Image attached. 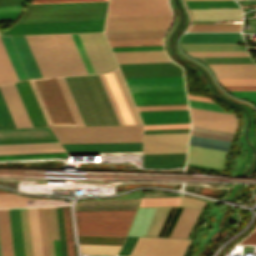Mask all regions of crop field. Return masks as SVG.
I'll use <instances>...</instances> for the list:
<instances>
[{
	"label": "crop field",
	"instance_id": "54",
	"mask_svg": "<svg viewBox=\"0 0 256 256\" xmlns=\"http://www.w3.org/2000/svg\"><path fill=\"white\" fill-rule=\"evenodd\" d=\"M190 124L145 126L144 130L189 128Z\"/></svg>",
	"mask_w": 256,
	"mask_h": 256
},
{
	"label": "crop field",
	"instance_id": "8",
	"mask_svg": "<svg viewBox=\"0 0 256 256\" xmlns=\"http://www.w3.org/2000/svg\"><path fill=\"white\" fill-rule=\"evenodd\" d=\"M192 125L234 132L237 123L233 114L191 108Z\"/></svg>",
	"mask_w": 256,
	"mask_h": 256
},
{
	"label": "crop field",
	"instance_id": "21",
	"mask_svg": "<svg viewBox=\"0 0 256 256\" xmlns=\"http://www.w3.org/2000/svg\"><path fill=\"white\" fill-rule=\"evenodd\" d=\"M156 208H139L128 236H144Z\"/></svg>",
	"mask_w": 256,
	"mask_h": 256
},
{
	"label": "crop field",
	"instance_id": "65",
	"mask_svg": "<svg viewBox=\"0 0 256 256\" xmlns=\"http://www.w3.org/2000/svg\"><path fill=\"white\" fill-rule=\"evenodd\" d=\"M241 243H254L256 244V231L251 234L249 237H247L245 240H243Z\"/></svg>",
	"mask_w": 256,
	"mask_h": 256
},
{
	"label": "crop field",
	"instance_id": "31",
	"mask_svg": "<svg viewBox=\"0 0 256 256\" xmlns=\"http://www.w3.org/2000/svg\"><path fill=\"white\" fill-rule=\"evenodd\" d=\"M25 256H33L28 211L27 208L19 209Z\"/></svg>",
	"mask_w": 256,
	"mask_h": 256
},
{
	"label": "crop field",
	"instance_id": "55",
	"mask_svg": "<svg viewBox=\"0 0 256 256\" xmlns=\"http://www.w3.org/2000/svg\"><path fill=\"white\" fill-rule=\"evenodd\" d=\"M189 31H240V27L191 28Z\"/></svg>",
	"mask_w": 256,
	"mask_h": 256
},
{
	"label": "crop field",
	"instance_id": "10",
	"mask_svg": "<svg viewBox=\"0 0 256 256\" xmlns=\"http://www.w3.org/2000/svg\"><path fill=\"white\" fill-rule=\"evenodd\" d=\"M130 94L136 106L187 104L185 91Z\"/></svg>",
	"mask_w": 256,
	"mask_h": 256
},
{
	"label": "crop field",
	"instance_id": "18",
	"mask_svg": "<svg viewBox=\"0 0 256 256\" xmlns=\"http://www.w3.org/2000/svg\"><path fill=\"white\" fill-rule=\"evenodd\" d=\"M194 20H242L240 9H190Z\"/></svg>",
	"mask_w": 256,
	"mask_h": 256
},
{
	"label": "crop field",
	"instance_id": "35",
	"mask_svg": "<svg viewBox=\"0 0 256 256\" xmlns=\"http://www.w3.org/2000/svg\"><path fill=\"white\" fill-rule=\"evenodd\" d=\"M56 79H57V81L59 83V86H60V88H61V90L63 92V95H64V97L66 99V102H67V104H68V106L70 108V111H71V113L73 115V118H74L76 124L77 125H84L82 120H81V117H80V115L78 113V110H77V108L75 106V103H74V101L72 99V96H71V94L69 92V89H68V87L66 85V82H65L64 78L63 77H59V78H56Z\"/></svg>",
	"mask_w": 256,
	"mask_h": 256
},
{
	"label": "crop field",
	"instance_id": "69",
	"mask_svg": "<svg viewBox=\"0 0 256 256\" xmlns=\"http://www.w3.org/2000/svg\"><path fill=\"white\" fill-rule=\"evenodd\" d=\"M226 90H256V87H224Z\"/></svg>",
	"mask_w": 256,
	"mask_h": 256
},
{
	"label": "crop field",
	"instance_id": "6",
	"mask_svg": "<svg viewBox=\"0 0 256 256\" xmlns=\"http://www.w3.org/2000/svg\"><path fill=\"white\" fill-rule=\"evenodd\" d=\"M96 73L109 72L117 68L103 33L78 34Z\"/></svg>",
	"mask_w": 256,
	"mask_h": 256
},
{
	"label": "crop field",
	"instance_id": "52",
	"mask_svg": "<svg viewBox=\"0 0 256 256\" xmlns=\"http://www.w3.org/2000/svg\"><path fill=\"white\" fill-rule=\"evenodd\" d=\"M120 125L124 124L102 74H99Z\"/></svg>",
	"mask_w": 256,
	"mask_h": 256
},
{
	"label": "crop field",
	"instance_id": "70",
	"mask_svg": "<svg viewBox=\"0 0 256 256\" xmlns=\"http://www.w3.org/2000/svg\"><path fill=\"white\" fill-rule=\"evenodd\" d=\"M67 243H68L69 256H75V255H74V249H73V242H72V239L67 240Z\"/></svg>",
	"mask_w": 256,
	"mask_h": 256
},
{
	"label": "crop field",
	"instance_id": "40",
	"mask_svg": "<svg viewBox=\"0 0 256 256\" xmlns=\"http://www.w3.org/2000/svg\"><path fill=\"white\" fill-rule=\"evenodd\" d=\"M111 47L162 45V39L108 41Z\"/></svg>",
	"mask_w": 256,
	"mask_h": 256
},
{
	"label": "crop field",
	"instance_id": "44",
	"mask_svg": "<svg viewBox=\"0 0 256 256\" xmlns=\"http://www.w3.org/2000/svg\"><path fill=\"white\" fill-rule=\"evenodd\" d=\"M0 128H16L0 93Z\"/></svg>",
	"mask_w": 256,
	"mask_h": 256
},
{
	"label": "crop field",
	"instance_id": "45",
	"mask_svg": "<svg viewBox=\"0 0 256 256\" xmlns=\"http://www.w3.org/2000/svg\"><path fill=\"white\" fill-rule=\"evenodd\" d=\"M222 86H256V79H218Z\"/></svg>",
	"mask_w": 256,
	"mask_h": 256
},
{
	"label": "crop field",
	"instance_id": "61",
	"mask_svg": "<svg viewBox=\"0 0 256 256\" xmlns=\"http://www.w3.org/2000/svg\"><path fill=\"white\" fill-rule=\"evenodd\" d=\"M160 196H176V195L164 193V192H143V193H141V197H160Z\"/></svg>",
	"mask_w": 256,
	"mask_h": 256
},
{
	"label": "crop field",
	"instance_id": "26",
	"mask_svg": "<svg viewBox=\"0 0 256 256\" xmlns=\"http://www.w3.org/2000/svg\"><path fill=\"white\" fill-rule=\"evenodd\" d=\"M62 149L59 142L0 144V151Z\"/></svg>",
	"mask_w": 256,
	"mask_h": 256
},
{
	"label": "crop field",
	"instance_id": "59",
	"mask_svg": "<svg viewBox=\"0 0 256 256\" xmlns=\"http://www.w3.org/2000/svg\"><path fill=\"white\" fill-rule=\"evenodd\" d=\"M23 6H24V4L12 5V6H2V7H0V13L21 11Z\"/></svg>",
	"mask_w": 256,
	"mask_h": 256
},
{
	"label": "crop field",
	"instance_id": "33",
	"mask_svg": "<svg viewBox=\"0 0 256 256\" xmlns=\"http://www.w3.org/2000/svg\"><path fill=\"white\" fill-rule=\"evenodd\" d=\"M189 8H239L234 0L186 1Z\"/></svg>",
	"mask_w": 256,
	"mask_h": 256
},
{
	"label": "crop field",
	"instance_id": "46",
	"mask_svg": "<svg viewBox=\"0 0 256 256\" xmlns=\"http://www.w3.org/2000/svg\"><path fill=\"white\" fill-rule=\"evenodd\" d=\"M188 103H189V106H192V107H198V108H203V109H209V110H215V111L228 113L227 111L223 110L221 107H219L215 103L198 101V100H191V99H188Z\"/></svg>",
	"mask_w": 256,
	"mask_h": 256
},
{
	"label": "crop field",
	"instance_id": "38",
	"mask_svg": "<svg viewBox=\"0 0 256 256\" xmlns=\"http://www.w3.org/2000/svg\"><path fill=\"white\" fill-rule=\"evenodd\" d=\"M136 202V200L84 201V203ZM136 205V203L80 204V206ZM135 209V207L80 208V210Z\"/></svg>",
	"mask_w": 256,
	"mask_h": 256
},
{
	"label": "crop field",
	"instance_id": "49",
	"mask_svg": "<svg viewBox=\"0 0 256 256\" xmlns=\"http://www.w3.org/2000/svg\"><path fill=\"white\" fill-rule=\"evenodd\" d=\"M138 111L188 109L187 105L137 107Z\"/></svg>",
	"mask_w": 256,
	"mask_h": 256
},
{
	"label": "crop field",
	"instance_id": "17",
	"mask_svg": "<svg viewBox=\"0 0 256 256\" xmlns=\"http://www.w3.org/2000/svg\"><path fill=\"white\" fill-rule=\"evenodd\" d=\"M29 78L42 77L24 36H11Z\"/></svg>",
	"mask_w": 256,
	"mask_h": 256
},
{
	"label": "crop field",
	"instance_id": "74",
	"mask_svg": "<svg viewBox=\"0 0 256 256\" xmlns=\"http://www.w3.org/2000/svg\"><path fill=\"white\" fill-rule=\"evenodd\" d=\"M1 192H5V191H3V190H0V193H1Z\"/></svg>",
	"mask_w": 256,
	"mask_h": 256
},
{
	"label": "crop field",
	"instance_id": "39",
	"mask_svg": "<svg viewBox=\"0 0 256 256\" xmlns=\"http://www.w3.org/2000/svg\"><path fill=\"white\" fill-rule=\"evenodd\" d=\"M180 197L141 198L140 207L179 205Z\"/></svg>",
	"mask_w": 256,
	"mask_h": 256
},
{
	"label": "crop field",
	"instance_id": "68",
	"mask_svg": "<svg viewBox=\"0 0 256 256\" xmlns=\"http://www.w3.org/2000/svg\"><path fill=\"white\" fill-rule=\"evenodd\" d=\"M64 150H50V151H22V152H0V154H13V153H34V152H55Z\"/></svg>",
	"mask_w": 256,
	"mask_h": 256
},
{
	"label": "crop field",
	"instance_id": "42",
	"mask_svg": "<svg viewBox=\"0 0 256 256\" xmlns=\"http://www.w3.org/2000/svg\"><path fill=\"white\" fill-rule=\"evenodd\" d=\"M62 256H68L62 207H56Z\"/></svg>",
	"mask_w": 256,
	"mask_h": 256
},
{
	"label": "crop field",
	"instance_id": "76",
	"mask_svg": "<svg viewBox=\"0 0 256 256\" xmlns=\"http://www.w3.org/2000/svg\"><path fill=\"white\" fill-rule=\"evenodd\" d=\"M256 105V102H253Z\"/></svg>",
	"mask_w": 256,
	"mask_h": 256
},
{
	"label": "crop field",
	"instance_id": "14",
	"mask_svg": "<svg viewBox=\"0 0 256 256\" xmlns=\"http://www.w3.org/2000/svg\"><path fill=\"white\" fill-rule=\"evenodd\" d=\"M182 43H244L239 33H187Z\"/></svg>",
	"mask_w": 256,
	"mask_h": 256
},
{
	"label": "crop field",
	"instance_id": "23",
	"mask_svg": "<svg viewBox=\"0 0 256 256\" xmlns=\"http://www.w3.org/2000/svg\"><path fill=\"white\" fill-rule=\"evenodd\" d=\"M0 240L2 256H13L7 209L0 210Z\"/></svg>",
	"mask_w": 256,
	"mask_h": 256
},
{
	"label": "crop field",
	"instance_id": "30",
	"mask_svg": "<svg viewBox=\"0 0 256 256\" xmlns=\"http://www.w3.org/2000/svg\"><path fill=\"white\" fill-rule=\"evenodd\" d=\"M34 256H42L37 208H28Z\"/></svg>",
	"mask_w": 256,
	"mask_h": 256
},
{
	"label": "crop field",
	"instance_id": "47",
	"mask_svg": "<svg viewBox=\"0 0 256 256\" xmlns=\"http://www.w3.org/2000/svg\"><path fill=\"white\" fill-rule=\"evenodd\" d=\"M192 56H248L247 52H187Z\"/></svg>",
	"mask_w": 256,
	"mask_h": 256
},
{
	"label": "crop field",
	"instance_id": "60",
	"mask_svg": "<svg viewBox=\"0 0 256 256\" xmlns=\"http://www.w3.org/2000/svg\"><path fill=\"white\" fill-rule=\"evenodd\" d=\"M189 132V129L144 131V134Z\"/></svg>",
	"mask_w": 256,
	"mask_h": 256
},
{
	"label": "crop field",
	"instance_id": "9",
	"mask_svg": "<svg viewBox=\"0 0 256 256\" xmlns=\"http://www.w3.org/2000/svg\"><path fill=\"white\" fill-rule=\"evenodd\" d=\"M234 133L192 126L189 144L228 150Z\"/></svg>",
	"mask_w": 256,
	"mask_h": 256
},
{
	"label": "crop field",
	"instance_id": "24",
	"mask_svg": "<svg viewBox=\"0 0 256 256\" xmlns=\"http://www.w3.org/2000/svg\"><path fill=\"white\" fill-rule=\"evenodd\" d=\"M198 212L199 210L185 208L171 237L186 238Z\"/></svg>",
	"mask_w": 256,
	"mask_h": 256
},
{
	"label": "crop field",
	"instance_id": "1",
	"mask_svg": "<svg viewBox=\"0 0 256 256\" xmlns=\"http://www.w3.org/2000/svg\"><path fill=\"white\" fill-rule=\"evenodd\" d=\"M167 0H109L105 31L168 29Z\"/></svg>",
	"mask_w": 256,
	"mask_h": 256
},
{
	"label": "crop field",
	"instance_id": "20",
	"mask_svg": "<svg viewBox=\"0 0 256 256\" xmlns=\"http://www.w3.org/2000/svg\"><path fill=\"white\" fill-rule=\"evenodd\" d=\"M14 256H24L18 209H8Z\"/></svg>",
	"mask_w": 256,
	"mask_h": 256
},
{
	"label": "crop field",
	"instance_id": "22",
	"mask_svg": "<svg viewBox=\"0 0 256 256\" xmlns=\"http://www.w3.org/2000/svg\"><path fill=\"white\" fill-rule=\"evenodd\" d=\"M49 256H54L52 239H59L55 207L43 208Z\"/></svg>",
	"mask_w": 256,
	"mask_h": 256
},
{
	"label": "crop field",
	"instance_id": "51",
	"mask_svg": "<svg viewBox=\"0 0 256 256\" xmlns=\"http://www.w3.org/2000/svg\"><path fill=\"white\" fill-rule=\"evenodd\" d=\"M204 205H205V202L201 200H195L190 197L182 196L181 206L203 209Z\"/></svg>",
	"mask_w": 256,
	"mask_h": 256
},
{
	"label": "crop field",
	"instance_id": "12",
	"mask_svg": "<svg viewBox=\"0 0 256 256\" xmlns=\"http://www.w3.org/2000/svg\"><path fill=\"white\" fill-rule=\"evenodd\" d=\"M67 152L141 151L142 143L62 144Z\"/></svg>",
	"mask_w": 256,
	"mask_h": 256
},
{
	"label": "crop field",
	"instance_id": "43",
	"mask_svg": "<svg viewBox=\"0 0 256 256\" xmlns=\"http://www.w3.org/2000/svg\"><path fill=\"white\" fill-rule=\"evenodd\" d=\"M88 74L95 73L77 34H70Z\"/></svg>",
	"mask_w": 256,
	"mask_h": 256
},
{
	"label": "crop field",
	"instance_id": "63",
	"mask_svg": "<svg viewBox=\"0 0 256 256\" xmlns=\"http://www.w3.org/2000/svg\"><path fill=\"white\" fill-rule=\"evenodd\" d=\"M27 0H0V6L26 3Z\"/></svg>",
	"mask_w": 256,
	"mask_h": 256
},
{
	"label": "crop field",
	"instance_id": "13",
	"mask_svg": "<svg viewBox=\"0 0 256 256\" xmlns=\"http://www.w3.org/2000/svg\"><path fill=\"white\" fill-rule=\"evenodd\" d=\"M217 78H256L254 64H208Z\"/></svg>",
	"mask_w": 256,
	"mask_h": 256
},
{
	"label": "crop field",
	"instance_id": "7",
	"mask_svg": "<svg viewBox=\"0 0 256 256\" xmlns=\"http://www.w3.org/2000/svg\"><path fill=\"white\" fill-rule=\"evenodd\" d=\"M124 78L182 76L173 62L118 64Z\"/></svg>",
	"mask_w": 256,
	"mask_h": 256
},
{
	"label": "crop field",
	"instance_id": "11",
	"mask_svg": "<svg viewBox=\"0 0 256 256\" xmlns=\"http://www.w3.org/2000/svg\"><path fill=\"white\" fill-rule=\"evenodd\" d=\"M33 127L47 126L28 80L14 83Z\"/></svg>",
	"mask_w": 256,
	"mask_h": 256
},
{
	"label": "crop field",
	"instance_id": "75",
	"mask_svg": "<svg viewBox=\"0 0 256 256\" xmlns=\"http://www.w3.org/2000/svg\"><path fill=\"white\" fill-rule=\"evenodd\" d=\"M0 256H1V248H0Z\"/></svg>",
	"mask_w": 256,
	"mask_h": 256
},
{
	"label": "crop field",
	"instance_id": "62",
	"mask_svg": "<svg viewBox=\"0 0 256 256\" xmlns=\"http://www.w3.org/2000/svg\"><path fill=\"white\" fill-rule=\"evenodd\" d=\"M18 14H19V12L0 14V21L14 20V18H15Z\"/></svg>",
	"mask_w": 256,
	"mask_h": 256
},
{
	"label": "crop field",
	"instance_id": "67",
	"mask_svg": "<svg viewBox=\"0 0 256 256\" xmlns=\"http://www.w3.org/2000/svg\"><path fill=\"white\" fill-rule=\"evenodd\" d=\"M55 256H61L59 240H53Z\"/></svg>",
	"mask_w": 256,
	"mask_h": 256
},
{
	"label": "crop field",
	"instance_id": "48",
	"mask_svg": "<svg viewBox=\"0 0 256 256\" xmlns=\"http://www.w3.org/2000/svg\"><path fill=\"white\" fill-rule=\"evenodd\" d=\"M38 212H39L43 256H48L42 208H38Z\"/></svg>",
	"mask_w": 256,
	"mask_h": 256
},
{
	"label": "crop field",
	"instance_id": "27",
	"mask_svg": "<svg viewBox=\"0 0 256 256\" xmlns=\"http://www.w3.org/2000/svg\"><path fill=\"white\" fill-rule=\"evenodd\" d=\"M166 30L105 33L108 40L162 38Z\"/></svg>",
	"mask_w": 256,
	"mask_h": 256
},
{
	"label": "crop field",
	"instance_id": "41",
	"mask_svg": "<svg viewBox=\"0 0 256 256\" xmlns=\"http://www.w3.org/2000/svg\"><path fill=\"white\" fill-rule=\"evenodd\" d=\"M81 253L116 254L120 246L80 244Z\"/></svg>",
	"mask_w": 256,
	"mask_h": 256
},
{
	"label": "crop field",
	"instance_id": "15",
	"mask_svg": "<svg viewBox=\"0 0 256 256\" xmlns=\"http://www.w3.org/2000/svg\"><path fill=\"white\" fill-rule=\"evenodd\" d=\"M186 153L143 155V168L183 167Z\"/></svg>",
	"mask_w": 256,
	"mask_h": 256
},
{
	"label": "crop field",
	"instance_id": "58",
	"mask_svg": "<svg viewBox=\"0 0 256 256\" xmlns=\"http://www.w3.org/2000/svg\"><path fill=\"white\" fill-rule=\"evenodd\" d=\"M112 51L163 49L162 46L111 48Z\"/></svg>",
	"mask_w": 256,
	"mask_h": 256
},
{
	"label": "crop field",
	"instance_id": "2",
	"mask_svg": "<svg viewBox=\"0 0 256 256\" xmlns=\"http://www.w3.org/2000/svg\"><path fill=\"white\" fill-rule=\"evenodd\" d=\"M108 1L30 4L17 23L104 19Z\"/></svg>",
	"mask_w": 256,
	"mask_h": 256
},
{
	"label": "crop field",
	"instance_id": "71",
	"mask_svg": "<svg viewBox=\"0 0 256 256\" xmlns=\"http://www.w3.org/2000/svg\"><path fill=\"white\" fill-rule=\"evenodd\" d=\"M188 98H191V99H198V100H204V101H211L209 98H205V97H197V96H190V95H187ZM213 102V101H211Z\"/></svg>",
	"mask_w": 256,
	"mask_h": 256
},
{
	"label": "crop field",
	"instance_id": "3",
	"mask_svg": "<svg viewBox=\"0 0 256 256\" xmlns=\"http://www.w3.org/2000/svg\"><path fill=\"white\" fill-rule=\"evenodd\" d=\"M50 128L61 143L142 142V126Z\"/></svg>",
	"mask_w": 256,
	"mask_h": 256
},
{
	"label": "crop field",
	"instance_id": "56",
	"mask_svg": "<svg viewBox=\"0 0 256 256\" xmlns=\"http://www.w3.org/2000/svg\"><path fill=\"white\" fill-rule=\"evenodd\" d=\"M34 198H28L23 196H18L12 193H2L0 194V201H7V200H31Z\"/></svg>",
	"mask_w": 256,
	"mask_h": 256
},
{
	"label": "crop field",
	"instance_id": "53",
	"mask_svg": "<svg viewBox=\"0 0 256 256\" xmlns=\"http://www.w3.org/2000/svg\"><path fill=\"white\" fill-rule=\"evenodd\" d=\"M231 94L245 98L249 101H256V91H229Z\"/></svg>",
	"mask_w": 256,
	"mask_h": 256
},
{
	"label": "crop field",
	"instance_id": "37",
	"mask_svg": "<svg viewBox=\"0 0 256 256\" xmlns=\"http://www.w3.org/2000/svg\"><path fill=\"white\" fill-rule=\"evenodd\" d=\"M125 237L78 236L79 243L122 245Z\"/></svg>",
	"mask_w": 256,
	"mask_h": 256
},
{
	"label": "crop field",
	"instance_id": "5",
	"mask_svg": "<svg viewBox=\"0 0 256 256\" xmlns=\"http://www.w3.org/2000/svg\"><path fill=\"white\" fill-rule=\"evenodd\" d=\"M104 20L14 24L1 34L103 31Z\"/></svg>",
	"mask_w": 256,
	"mask_h": 256
},
{
	"label": "crop field",
	"instance_id": "28",
	"mask_svg": "<svg viewBox=\"0 0 256 256\" xmlns=\"http://www.w3.org/2000/svg\"><path fill=\"white\" fill-rule=\"evenodd\" d=\"M185 51H247L238 44H182Z\"/></svg>",
	"mask_w": 256,
	"mask_h": 256
},
{
	"label": "crop field",
	"instance_id": "73",
	"mask_svg": "<svg viewBox=\"0 0 256 256\" xmlns=\"http://www.w3.org/2000/svg\"><path fill=\"white\" fill-rule=\"evenodd\" d=\"M245 7H256V5H251V6H245Z\"/></svg>",
	"mask_w": 256,
	"mask_h": 256
},
{
	"label": "crop field",
	"instance_id": "4",
	"mask_svg": "<svg viewBox=\"0 0 256 256\" xmlns=\"http://www.w3.org/2000/svg\"><path fill=\"white\" fill-rule=\"evenodd\" d=\"M135 211L75 212L78 235L126 236Z\"/></svg>",
	"mask_w": 256,
	"mask_h": 256
},
{
	"label": "crop field",
	"instance_id": "64",
	"mask_svg": "<svg viewBox=\"0 0 256 256\" xmlns=\"http://www.w3.org/2000/svg\"><path fill=\"white\" fill-rule=\"evenodd\" d=\"M69 1H95V0H33L32 3H43V2H69Z\"/></svg>",
	"mask_w": 256,
	"mask_h": 256
},
{
	"label": "crop field",
	"instance_id": "32",
	"mask_svg": "<svg viewBox=\"0 0 256 256\" xmlns=\"http://www.w3.org/2000/svg\"><path fill=\"white\" fill-rule=\"evenodd\" d=\"M19 80L27 79L9 36H1Z\"/></svg>",
	"mask_w": 256,
	"mask_h": 256
},
{
	"label": "crop field",
	"instance_id": "57",
	"mask_svg": "<svg viewBox=\"0 0 256 256\" xmlns=\"http://www.w3.org/2000/svg\"><path fill=\"white\" fill-rule=\"evenodd\" d=\"M67 239L72 238L68 206L63 207Z\"/></svg>",
	"mask_w": 256,
	"mask_h": 256
},
{
	"label": "crop field",
	"instance_id": "66",
	"mask_svg": "<svg viewBox=\"0 0 256 256\" xmlns=\"http://www.w3.org/2000/svg\"><path fill=\"white\" fill-rule=\"evenodd\" d=\"M241 24L193 25V27L240 26Z\"/></svg>",
	"mask_w": 256,
	"mask_h": 256
},
{
	"label": "crop field",
	"instance_id": "50",
	"mask_svg": "<svg viewBox=\"0 0 256 256\" xmlns=\"http://www.w3.org/2000/svg\"><path fill=\"white\" fill-rule=\"evenodd\" d=\"M138 237H127L118 255H130Z\"/></svg>",
	"mask_w": 256,
	"mask_h": 256
},
{
	"label": "crop field",
	"instance_id": "16",
	"mask_svg": "<svg viewBox=\"0 0 256 256\" xmlns=\"http://www.w3.org/2000/svg\"><path fill=\"white\" fill-rule=\"evenodd\" d=\"M144 124L190 122L188 110L139 112Z\"/></svg>",
	"mask_w": 256,
	"mask_h": 256
},
{
	"label": "crop field",
	"instance_id": "29",
	"mask_svg": "<svg viewBox=\"0 0 256 256\" xmlns=\"http://www.w3.org/2000/svg\"><path fill=\"white\" fill-rule=\"evenodd\" d=\"M18 80L0 38V84Z\"/></svg>",
	"mask_w": 256,
	"mask_h": 256
},
{
	"label": "crop field",
	"instance_id": "34",
	"mask_svg": "<svg viewBox=\"0 0 256 256\" xmlns=\"http://www.w3.org/2000/svg\"><path fill=\"white\" fill-rule=\"evenodd\" d=\"M170 207L157 208L145 236L156 237Z\"/></svg>",
	"mask_w": 256,
	"mask_h": 256
},
{
	"label": "crop field",
	"instance_id": "25",
	"mask_svg": "<svg viewBox=\"0 0 256 256\" xmlns=\"http://www.w3.org/2000/svg\"><path fill=\"white\" fill-rule=\"evenodd\" d=\"M53 136L49 127L30 129H0V138Z\"/></svg>",
	"mask_w": 256,
	"mask_h": 256
},
{
	"label": "crop field",
	"instance_id": "36",
	"mask_svg": "<svg viewBox=\"0 0 256 256\" xmlns=\"http://www.w3.org/2000/svg\"><path fill=\"white\" fill-rule=\"evenodd\" d=\"M68 157L66 152L0 155V160Z\"/></svg>",
	"mask_w": 256,
	"mask_h": 256
},
{
	"label": "crop field",
	"instance_id": "19",
	"mask_svg": "<svg viewBox=\"0 0 256 256\" xmlns=\"http://www.w3.org/2000/svg\"><path fill=\"white\" fill-rule=\"evenodd\" d=\"M125 124H135L113 73L103 74Z\"/></svg>",
	"mask_w": 256,
	"mask_h": 256
},
{
	"label": "crop field",
	"instance_id": "72",
	"mask_svg": "<svg viewBox=\"0 0 256 256\" xmlns=\"http://www.w3.org/2000/svg\"><path fill=\"white\" fill-rule=\"evenodd\" d=\"M45 141H57V140H43V141H17V142H0V143H18V142H45Z\"/></svg>",
	"mask_w": 256,
	"mask_h": 256
}]
</instances>
